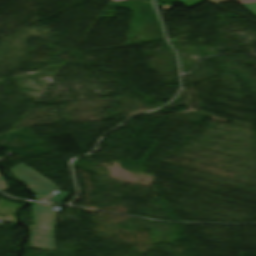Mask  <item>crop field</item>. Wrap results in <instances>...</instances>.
Instances as JSON below:
<instances>
[{
    "mask_svg": "<svg viewBox=\"0 0 256 256\" xmlns=\"http://www.w3.org/2000/svg\"><path fill=\"white\" fill-rule=\"evenodd\" d=\"M11 188H9L5 182H4V179L0 176V191H6V190H9Z\"/></svg>",
    "mask_w": 256,
    "mask_h": 256,
    "instance_id": "obj_6",
    "label": "crop field"
},
{
    "mask_svg": "<svg viewBox=\"0 0 256 256\" xmlns=\"http://www.w3.org/2000/svg\"><path fill=\"white\" fill-rule=\"evenodd\" d=\"M202 1L204 0H181V2L187 7H192Z\"/></svg>",
    "mask_w": 256,
    "mask_h": 256,
    "instance_id": "obj_5",
    "label": "crop field"
},
{
    "mask_svg": "<svg viewBox=\"0 0 256 256\" xmlns=\"http://www.w3.org/2000/svg\"><path fill=\"white\" fill-rule=\"evenodd\" d=\"M242 6L256 16V3L243 4Z\"/></svg>",
    "mask_w": 256,
    "mask_h": 256,
    "instance_id": "obj_4",
    "label": "crop field"
},
{
    "mask_svg": "<svg viewBox=\"0 0 256 256\" xmlns=\"http://www.w3.org/2000/svg\"><path fill=\"white\" fill-rule=\"evenodd\" d=\"M35 226H30L32 234L30 247L54 250L55 214L51 207L33 206Z\"/></svg>",
    "mask_w": 256,
    "mask_h": 256,
    "instance_id": "obj_1",
    "label": "crop field"
},
{
    "mask_svg": "<svg viewBox=\"0 0 256 256\" xmlns=\"http://www.w3.org/2000/svg\"><path fill=\"white\" fill-rule=\"evenodd\" d=\"M212 2H218V1H228V0H210ZM242 3H248V2H256V0H236Z\"/></svg>",
    "mask_w": 256,
    "mask_h": 256,
    "instance_id": "obj_7",
    "label": "crop field"
},
{
    "mask_svg": "<svg viewBox=\"0 0 256 256\" xmlns=\"http://www.w3.org/2000/svg\"><path fill=\"white\" fill-rule=\"evenodd\" d=\"M10 171L17 179L25 182L35 194L43 195L58 188L23 163L10 169Z\"/></svg>",
    "mask_w": 256,
    "mask_h": 256,
    "instance_id": "obj_2",
    "label": "crop field"
},
{
    "mask_svg": "<svg viewBox=\"0 0 256 256\" xmlns=\"http://www.w3.org/2000/svg\"><path fill=\"white\" fill-rule=\"evenodd\" d=\"M68 195H69L68 193L60 192L56 194L53 198H51L50 201L61 203L64 199L68 197Z\"/></svg>",
    "mask_w": 256,
    "mask_h": 256,
    "instance_id": "obj_3",
    "label": "crop field"
}]
</instances>
